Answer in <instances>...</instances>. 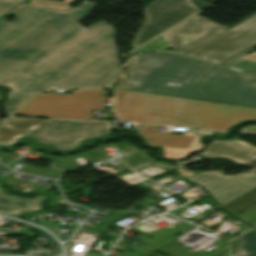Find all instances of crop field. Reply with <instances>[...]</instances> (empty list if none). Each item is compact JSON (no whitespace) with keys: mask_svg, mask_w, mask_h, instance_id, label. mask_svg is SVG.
I'll use <instances>...</instances> for the list:
<instances>
[{"mask_svg":"<svg viewBox=\"0 0 256 256\" xmlns=\"http://www.w3.org/2000/svg\"><path fill=\"white\" fill-rule=\"evenodd\" d=\"M97 5L84 1L66 12L20 4L0 19V85L12 88L4 103L15 111L36 92L102 87L118 61L108 23L82 27ZM16 15L12 23L3 21Z\"/></svg>","mask_w":256,"mask_h":256,"instance_id":"1","label":"crop field"},{"mask_svg":"<svg viewBox=\"0 0 256 256\" xmlns=\"http://www.w3.org/2000/svg\"><path fill=\"white\" fill-rule=\"evenodd\" d=\"M112 107L121 119L168 123L225 133L228 127L256 119V109L158 96L119 89Z\"/></svg>","mask_w":256,"mask_h":256,"instance_id":"2","label":"crop field"},{"mask_svg":"<svg viewBox=\"0 0 256 256\" xmlns=\"http://www.w3.org/2000/svg\"><path fill=\"white\" fill-rule=\"evenodd\" d=\"M207 65L208 63L169 53L135 55L127 78L119 88L242 106L189 83Z\"/></svg>","mask_w":256,"mask_h":256,"instance_id":"3","label":"crop field"},{"mask_svg":"<svg viewBox=\"0 0 256 256\" xmlns=\"http://www.w3.org/2000/svg\"><path fill=\"white\" fill-rule=\"evenodd\" d=\"M227 29L195 15L161 36L177 53L226 65L256 48V14Z\"/></svg>","mask_w":256,"mask_h":256,"instance_id":"4","label":"crop field"},{"mask_svg":"<svg viewBox=\"0 0 256 256\" xmlns=\"http://www.w3.org/2000/svg\"><path fill=\"white\" fill-rule=\"evenodd\" d=\"M72 92L73 95L39 94L14 115L92 120V109H104L106 96L103 89Z\"/></svg>","mask_w":256,"mask_h":256,"instance_id":"5","label":"crop field"},{"mask_svg":"<svg viewBox=\"0 0 256 256\" xmlns=\"http://www.w3.org/2000/svg\"><path fill=\"white\" fill-rule=\"evenodd\" d=\"M256 108V76L209 64L193 81Z\"/></svg>","mask_w":256,"mask_h":256,"instance_id":"6","label":"crop field"},{"mask_svg":"<svg viewBox=\"0 0 256 256\" xmlns=\"http://www.w3.org/2000/svg\"><path fill=\"white\" fill-rule=\"evenodd\" d=\"M182 1L177 6L180 0H154L144 7L145 22L132 41L133 49L199 10L191 0Z\"/></svg>","mask_w":256,"mask_h":256,"instance_id":"7","label":"crop field"},{"mask_svg":"<svg viewBox=\"0 0 256 256\" xmlns=\"http://www.w3.org/2000/svg\"><path fill=\"white\" fill-rule=\"evenodd\" d=\"M110 133V122L55 120L35 139L60 150H71L78 147L84 140Z\"/></svg>","mask_w":256,"mask_h":256,"instance_id":"8","label":"crop field"},{"mask_svg":"<svg viewBox=\"0 0 256 256\" xmlns=\"http://www.w3.org/2000/svg\"><path fill=\"white\" fill-rule=\"evenodd\" d=\"M246 172L233 176H224L223 171L202 172L188 179L203 186L221 205L256 184L254 170Z\"/></svg>","mask_w":256,"mask_h":256,"instance_id":"9","label":"crop field"},{"mask_svg":"<svg viewBox=\"0 0 256 256\" xmlns=\"http://www.w3.org/2000/svg\"><path fill=\"white\" fill-rule=\"evenodd\" d=\"M158 126L141 125L137 133L145 140L146 145L164 146V156L167 158H183L192 151H198L200 134L192 130L186 136L159 134Z\"/></svg>","mask_w":256,"mask_h":256,"instance_id":"10","label":"crop field"},{"mask_svg":"<svg viewBox=\"0 0 256 256\" xmlns=\"http://www.w3.org/2000/svg\"><path fill=\"white\" fill-rule=\"evenodd\" d=\"M53 120L17 117L0 125V145H13L21 136L34 138Z\"/></svg>","mask_w":256,"mask_h":256,"instance_id":"11","label":"crop field"},{"mask_svg":"<svg viewBox=\"0 0 256 256\" xmlns=\"http://www.w3.org/2000/svg\"><path fill=\"white\" fill-rule=\"evenodd\" d=\"M199 156L204 160L210 158H230L240 164H245L256 158V147L241 141H215Z\"/></svg>","mask_w":256,"mask_h":256,"instance_id":"12","label":"crop field"},{"mask_svg":"<svg viewBox=\"0 0 256 256\" xmlns=\"http://www.w3.org/2000/svg\"><path fill=\"white\" fill-rule=\"evenodd\" d=\"M44 197L41 196L35 199L12 197L5 195L0 190V212L13 215L21 211H38L41 208L37 202L40 198Z\"/></svg>","mask_w":256,"mask_h":256,"instance_id":"13","label":"crop field"},{"mask_svg":"<svg viewBox=\"0 0 256 256\" xmlns=\"http://www.w3.org/2000/svg\"><path fill=\"white\" fill-rule=\"evenodd\" d=\"M256 187L222 206L235 217L256 204Z\"/></svg>","mask_w":256,"mask_h":256,"instance_id":"14","label":"crop field"},{"mask_svg":"<svg viewBox=\"0 0 256 256\" xmlns=\"http://www.w3.org/2000/svg\"><path fill=\"white\" fill-rule=\"evenodd\" d=\"M240 243L231 247L232 256H256V230L239 237Z\"/></svg>","mask_w":256,"mask_h":256,"instance_id":"15","label":"crop field"},{"mask_svg":"<svg viewBox=\"0 0 256 256\" xmlns=\"http://www.w3.org/2000/svg\"><path fill=\"white\" fill-rule=\"evenodd\" d=\"M228 67L256 74V54L245 56Z\"/></svg>","mask_w":256,"mask_h":256,"instance_id":"16","label":"crop field"},{"mask_svg":"<svg viewBox=\"0 0 256 256\" xmlns=\"http://www.w3.org/2000/svg\"><path fill=\"white\" fill-rule=\"evenodd\" d=\"M168 47L170 46L159 37L135 51L138 53L156 52L163 51Z\"/></svg>","mask_w":256,"mask_h":256,"instance_id":"17","label":"crop field"},{"mask_svg":"<svg viewBox=\"0 0 256 256\" xmlns=\"http://www.w3.org/2000/svg\"><path fill=\"white\" fill-rule=\"evenodd\" d=\"M30 5L66 11L72 4L49 0H32Z\"/></svg>","mask_w":256,"mask_h":256,"instance_id":"18","label":"crop field"},{"mask_svg":"<svg viewBox=\"0 0 256 256\" xmlns=\"http://www.w3.org/2000/svg\"><path fill=\"white\" fill-rule=\"evenodd\" d=\"M236 218L252 226L256 225V205Z\"/></svg>","mask_w":256,"mask_h":256,"instance_id":"19","label":"crop field"},{"mask_svg":"<svg viewBox=\"0 0 256 256\" xmlns=\"http://www.w3.org/2000/svg\"><path fill=\"white\" fill-rule=\"evenodd\" d=\"M17 3H11V2H5V1H0V16L5 14L7 11L15 7Z\"/></svg>","mask_w":256,"mask_h":256,"instance_id":"20","label":"crop field"},{"mask_svg":"<svg viewBox=\"0 0 256 256\" xmlns=\"http://www.w3.org/2000/svg\"><path fill=\"white\" fill-rule=\"evenodd\" d=\"M240 132H251V133H256V127L243 129V130H241Z\"/></svg>","mask_w":256,"mask_h":256,"instance_id":"21","label":"crop field"},{"mask_svg":"<svg viewBox=\"0 0 256 256\" xmlns=\"http://www.w3.org/2000/svg\"><path fill=\"white\" fill-rule=\"evenodd\" d=\"M245 165H248L250 167L256 168V159L251 161V162H249V163H247V164H245Z\"/></svg>","mask_w":256,"mask_h":256,"instance_id":"22","label":"crop field"},{"mask_svg":"<svg viewBox=\"0 0 256 256\" xmlns=\"http://www.w3.org/2000/svg\"><path fill=\"white\" fill-rule=\"evenodd\" d=\"M12 1H21V0H12Z\"/></svg>","mask_w":256,"mask_h":256,"instance_id":"23","label":"crop field"},{"mask_svg":"<svg viewBox=\"0 0 256 256\" xmlns=\"http://www.w3.org/2000/svg\"><path fill=\"white\" fill-rule=\"evenodd\" d=\"M181 3H183V2H181ZM181 3H179V4H181ZM179 4H177V5H179Z\"/></svg>","mask_w":256,"mask_h":256,"instance_id":"24","label":"crop field"}]
</instances>
